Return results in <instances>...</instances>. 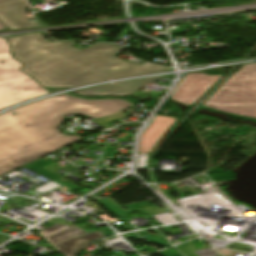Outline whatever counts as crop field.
Returning <instances> with one entry per match:
<instances>
[{
    "label": "crop field",
    "mask_w": 256,
    "mask_h": 256,
    "mask_svg": "<svg viewBox=\"0 0 256 256\" xmlns=\"http://www.w3.org/2000/svg\"><path fill=\"white\" fill-rule=\"evenodd\" d=\"M138 102L131 97L87 98L69 93L0 115V159L58 136L1 160L0 176L81 139L58 133L56 126L64 120L63 114L87 115L106 129L112 127L110 123L129 116L121 111Z\"/></svg>",
    "instance_id": "1"
},
{
    "label": "crop field",
    "mask_w": 256,
    "mask_h": 256,
    "mask_svg": "<svg viewBox=\"0 0 256 256\" xmlns=\"http://www.w3.org/2000/svg\"><path fill=\"white\" fill-rule=\"evenodd\" d=\"M42 33L9 38L22 69L45 87H75L111 79L167 71L155 65H136L113 55L123 51L114 45L96 43L82 51L67 42L44 52L36 40Z\"/></svg>",
    "instance_id": "2"
},
{
    "label": "crop field",
    "mask_w": 256,
    "mask_h": 256,
    "mask_svg": "<svg viewBox=\"0 0 256 256\" xmlns=\"http://www.w3.org/2000/svg\"><path fill=\"white\" fill-rule=\"evenodd\" d=\"M200 109L256 122V64L243 66Z\"/></svg>",
    "instance_id": "3"
},
{
    "label": "crop field",
    "mask_w": 256,
    "mask_h": 256,
    "mask_svg": "<svg viewBox=\"0 0 256 256\" xmlns=\"http://www.w3.org/2000/svg\"><path fill=\"white\" fill-rule=\"evenodd\" d=\"M0 109L13 104L39 97L43 94L67 88L44 89L30 76L19 70L23 64L11 57L10 46L0 37Z\"/></svg>",
    "instance_id": "4"
},
{
    "label": "crop field",
    "mask_w": 256,
    "mask_h": 256,
    "mask_svg": "<svg viewBox=\"0 0 256 256\" xmlns=\"http://www.w3.org/2000/svg\"><path fill=\"white\" fill-rule=\"evenodd\" d=\"M38 233L64 256H76L77 253L91 245L90 241L104 238L99 232L87 234L81 228L61 224Z\"/></svg>",
    "instance_id": "5"
},
{
    "label": "crop field",
    "mask_w": 256,
    "mask_h": 256,
    "mask_svg": "<svg viewBox=\"0 0 256 256\" xmlns=\"http://www.w3.org/2000/svg\"><path fill=\"white\" fill-rule=\"evenodd\" d=\"M221 77L222 76H208L205 74H189L179 83L171 99L190 106Z\"/></svg>",
    "instance_id": "6"
},
{
    "label": "crop field",
    "mask_w": 256,
    "mask_h": 256,
    "mask_svg": "<svg viewBox=\"0 0 256 256\" xmlns=\"http://www.w3.org/2000/svg\"><path fill=\"white\" fill-rule=\"evenodd\" d=\"M27 5L24 0H6L0 2V19L10 28H28L39 26L38 22L26 21L23 17Z\"/></svg>",
    "instance_id": "7"
},
{
    "label": "crop field",
    "mask_w": 256,
    "mask_h": 256,
    "mask_svg": "<svg viewBox=\"0 0 256 256\" xmlns=\"http://www.w3.org/2000/svg\"><path fill=\"white\" fill-rule=\"evenodd\" d=\"M175 121L174 118L156 115L141 136L139 153H149Z\"/></svg>",
    "instance_id": "8"
},
{
    "label": "crop field",
    "mask_w": 256,
    "mask_h": 256,
    "mask_svg": "<svg viewBox=\"0 0 256 256\" xmlns=\"http://www.w3.org/2000/svg\"><path fill=\"white\" fill-rule=\"evenodd\" d=\"M156 78H149V79H142V80H135V81H129L114 85H108L103 87H97L87 90H81L77 93L84 94V95H124V94H133L135 91H137L142 85H144L146 82H155Z\"/></svg>",
    "instance_id": "9"
},
{
    "label": "crop field",
    "mask_w": 256,
    "mask_h": 256,
    "mask_svg": "<svg viewBox=\"0 0 256 256\" xmlns=\"http://www.w3.org/2000/svg\"><path fill=\"white\" fill-rule=\"evenodd\" d=\"M42 36L43 35L37 37V40L44 51L52 49V48L64 43V42H59V43L47 42V41L43 40Z\"/></svg>",
    "instance_id": "10"
},
{
    "label": "crop field",
    "mask_w": 256,
    "mask_h": 256,
    "mask_svg": "<svg viewBox=\"0 0 256 256\" xmlns=\"http://www.w3.org/2000/svg\"><path fill=\"white\" fill-rule=\"evenodd\" d=\"M6 27L0 22V30H4Z\"/></svg>",
    "instance_id": "11"
},
{
    "label": "crop field",
    "mask_w": 256,
    "mask_h": 256,
    "mask_svg": "<svg viewBox=\"0 0 256 256\" xmlns=\"http://www.w3.org/2000/svg\"><path fill=\"white\" fill-rule=\"evenodd\" d=\"M46 141V140H45Z\"/></svg>",
    "instance_id": "12"
},
{
    "label": "crop field",
    "mask_w": 256,
    "mask_h": 256,
    "mask_svg": "<svg viewBox=\"0 0 256 256\" xmlns=\"http://www.w3.org/2000/svg\"><path fill=\"white\" fill-rule=\"evenodd\" d=\"M1 1V0H0Z\"/></svg>",
    "instance_id": "13"
}]
</instances>
